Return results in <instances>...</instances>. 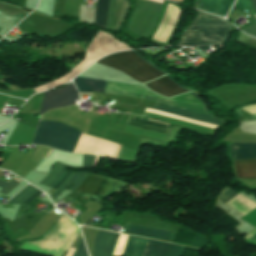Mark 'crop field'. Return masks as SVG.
Returning a JSON list of instances; mask_svg holds the SVG:
<instances>
[{"instance_id": "crop-field-1", "label": "crop field", "mask_w": 256, "mask_h": 256, "mask_svg": "<svg viewBox=\"0 0 256 256\" xmlns=\"http://www.w3.org/2000/svg\"><path fill=\"white\" fill-rule=\"evenodd\" d=\"M80 134L78 130L60 123L40 121L32 144L72 152ZM121 147L116 143L81 134L73 152L99 154L116 160Z\"/></svg>"}, {"instance_id": "crop-field-2", "label": "crop field", "mask_w": 256, "mask_h": 256, "mask_svg": "<svg viewBox=\"0 0 256 256\" xmlns=\"http://www.w3.org/2000/svg\"><path fill=\"white\" fill-rule=\"evenodd\" d=\"M229 24L224 20L197 14L185 31L180 35V46H208L222 45L230 32Z\"/></svg>"}, {"instance_id": "crop-field-3", "label": "crop field", "mask_w": 256, "mask_h": 256, "mask_svg": "<svg viewBox=\"0 0 256 256\" xmlns=\"http://www.w3.org/2000/svg\"><path fill=\"white\" fill-rule=\"evenodd\" d=\"M77 225L62 214L58 222L42 240L34 243H24L20 250L32 251L51 256H62L68 251L80 230Z\"/></svg>"}, {"instance_id": "crop-field-4", "label": "crop field", "mask_w": 256, "mask_h": 256, "mask_svg": "<svg viewBox=\"0 0 256 256\" xmlns=\"http://www.w3.org/2000/svg\"><path fill=\"white\" fill-rule=\"evenodd\" d=\"M134 52L136 55H138L140 58H142L138 53ZM131 51H127V52H122V53H117V54H113L110 56H107L105 58L100 59L97 63L113 68V69H117L121 72H123L124 74L128 75L129 77L137 80L140 83L143 82H147L150 80H153L157 77H160L166 73H164L163 71L159 70L158 68H156L155 66L151 65L152 67L156 68L157 70H159L160 72L164 73H160L159 71H157L156 69L152 68L151 66H149L147 63H145L143 60H141L139 57H137L135 54H133Z\"/></svg>"}, {"instance_id": "crop-field-5", "label": "crop field", "mask_w": 256, "mask_h": 256, "mask_svg": "<svg viewBox=\"0 0 256 256\" xmlns=\"http://www.w3.org/2000/svg\"><path fill=\"white\" fill-rule=\"evenodd\" d=\"M127 49L131 48L120 43L109 34L99 30L86 51L85 59L72 69L70 73L71 79L99 58L112 52Z\"/></svg>"}, {"instance_id": "crop-field-6", "label": "crop field", "mask_w": 256, "mask_h": 256, "mask_svg": "<svg viewBox=\"0 0 256 256\" xmlns=\"http://www.w3.org/2000/svg\"><path fill=\"white\" fill-rule=\"evenodd\" d=\"M163 4V0H150ZM146 0H137L135 11L127 29L148 39L160 14L162 4Z\"/></svg>"}, {"instance_id": "crop-field-7", "label": "crop field", "mask_w": 256, "mask_h": 256, "mask_svg": "<svg viewBox=\"0 0 256 256\" xmlns=\"http://www.w3.org/2000/svg\"><path fill=\"white\" fill-rule=\"evenodd\" d=\"M77 97L78 94L75 92L73 84L45 92L40 114L42 115L50 109L73 105L74 98Z\"/></svg>"}, {"instance_id": "crop-field-8", "label": "crop field", "mask_w": 256, "mask_h": 256, "mask_svg": "<svg viewBox=\"0 0 256 256\" xmlns=\"http://www.w3.org/2000/svg\"><path fill=\"white\" fill-rule=\"evenodd\" d=\"M18 6L0 1V12L22 20L28 13L18 10ZM0 13V35H5L20 20Z\"/></svg>"}, {"instance_id": "crop-field-9", "label": "crop field", "mask_w": 256, "mask_h": 256, "mask_svg": "<svg viewBox=\"0 0 256 256\" xmlns=\"http://www.w3.org/2000/svg\"><path fill=\"white\" fill-rule=\"evenodd\" d=\"M158 103H156L155 107L152 108V109H156V110H159V111H163V112H167V113H171V114H175V115H179V116H183V117H187V118H191V119H195V120H199V121H203V122H207V123H211V124H215V125H219V124L223 123V121L217 120L218 118L213 119V118H216V117L210 115L209 113H207L204 110L177 107V108H180V109L188 110V111H191V112L199 113V114L210 116V117H213V118L202 116V115L195 114V113H191V112L184 111V110H180V109H177V108H173V107H176V106L169 107L171 105L166 106L167 104L162 105L164 103H162V104H158Z\"/></svg>"}, {"instance_id": "crop-field-10", "label": "crop field", "mask_w": 256, "mask_h": 256, "mask_svg": "<svg viewBox=\"0 0 256 256\" xmlns=\"http://www.w3.org/2000/svg\"><path fill=\"white\" fill-rule=\"evenodd\" d=\"M180 14V9L169 5L166 8L164 17L155 33L153 36V39L159 41V42H166L172 28L174 27L178 17Z\"/></svg>"}, {"instance_id": "crop-field-11", "label": "crop field", "mask_w": 256, "mask_h": 256, "mask_svg": "<svg viewBox=\"0 0 256 256\" xmlns=\"http://www.w3.org/2000/svg\"><path fill=\"white\" fill-rule=\"evenodd\" d=\"M167 77L169 80L174 82L179 88L190 91L188 89L181 87L177 82L172 80L169 75H167ZM168 79L166 78V76H164L160 79H157L151 83L146 84V86L149 87L151 90H153L159 94L165 95L167 97H170L172 95H176V94H179L182 92H187V91L179 89L174 83H172Z\"/></svg>"}, {"instance_id": "crop-field-12", "label": "crop field", "mask_w": 256, "mask_h": 256, "mask_svg": "<svg viewBox=\"0 0 256 256\" xmlns=\"http://www.w3.org/2000/svg\"><path fill=\"white\" fill-rule=\"evenodd\" d=\"M235 0H196L195 8L225 16Z\"/></svg>"}, {"instance_id": "crop-field-13", "label": "crop field", "mask_w": 256, "mask_h": 256, "mask_svg": "<svg viewBox=\"0 0 256 256\" xmlns=\"http://www.w3.org/2000/svg\"><path fill=\"white\" fill-rule=\"evenodd\" d=\"M117 234L100 230L96 239L94 256H109Z\"/></svg>"}, {"instance_id": "crop-field-14", "label": "crop field", "mask_w": 256, "mask_h": 256, "mask_svg": "<svg viewBox=\"0 0 256 256\" xmlns=\"http://www.w3.org/2000/svg\"><path fill=\"white\" fill-rule=\"evenodd\" d=\"M124 228L127 229V232L136 233V234L145 235V236L163 239V240H168V241H171L174 235L173 232L147 228V227L133 225L129 223H126Z\"/></svg>"}, {"instance_id": "crop-field-15", "label": "crop field", "mask_w": 256, "mask_h": 256, "mask_svg": "<svg viewBox=\"0 0 256 256\" xmlns=\"http://www.w3.org/2000/svg\"><path fill=\"white\" fill-rule=\"evenodd\" d=\"M104 180L105 177L88 173L84 181L74 191L96 196Z\"/></svg>"}, {"instance_id": "crop-field-16", "label": "crop field", "mask_w": 256, "mask_h": 256, "mask_svg": "<svg viewBox=\"0 0 256 256\" xmlns=\"http://www.w3.org/2000/svg\"><path fill=\"white\" fill-rule=\"evenodd\" d=\"M148 118L149 117H145V116L130 115L127 124L168 134L169 126H167V125H169V124H167V125H163L166 123L159 124L162 122L155 123L158 121L151 122L154 120L148 121Z\"/></svg>"}, {"instance_id": "crop-field-17", "label": "crop field", "mask_w": 256, "mask_h": 256, "mask_svg": "<svg viewBox=\"0 0 256 256\" xmlns=\"http://www.w3.org/2000/svg\"><path fill=\"white\" fill-rule=\"evenodd\" d=\"M232 159L256 158V143H234L230 144Z\"/></svg>"}, {"instance_id": "crop-field-18", "label": "crop field", "mask_w": 256, "mask_h": 256, "mask_svg": "<svg viewBox=\"0 0 256 256\" xmlns=\"http://www.w3.org/2000/svg\"><path fill=\"white\" fill-rule=\"evenodd\" d=\"M237 178L256 179V159L234 161Z\"/></svg>"}, {"instance_id": "crop-field-19", "label": "crop field", "mask_w": 256, "mask_h": 256, "mask_svg": "<svg viewBox=\"0 0 256 256\" xmlns=\"http://www.w3.org/2000/svg\"><path fill=\"white\" fill-rule=\"evenodd\" d=\"M73 83L79 92L92 93L91 91H94L102 93L101 80L77 77L73 80Z\"/></svg>"}, {"instance_id": "crop-field-20", "label": "crop field", "mask_w": 256, "mask_h": 256, "mask_svg": "<svg viewBox=\"0 0 256 256\" xmlns=\"http://www.w3.org/2000/svg\"><path fill=\"white\" fill-rule=\"evenodd\" d=\"M146 240L128 237L125 245L123 256H141Z\"/></svg>"}, {"instance_id": "crop-field-21", "label": "crop field", "mask_w": 256, "mask_h": 256, "mask_svg": "<svg viewBox=\"0 0 256 256\" xmlns=\"http://www.w3.org/2000/svg\"><path fill=\"white\" fill-rule=\"evenodd\" d=\"M122 0H110L106 28L115 30Z\"/></svg>"}, {"instance_id": "crop-field-22", "label": "crop field", "mask_w": 256, "mask_h": 256, "mask_svg": "<svg viewBox=\"0 0 256 256\" xmlns=\"http://www.w3.org/2000/svg\"><path fill=\"white\" fill-rule=\"evenodd\" d=\"M87 175V173L84 172H73L71 174V176L68 178V180L61 185L53 194L52 196H57L58 194H60L61 192H63L64 190H66L72 183L74 184L69 190L73 191L85 178V176Z\"/></svg>"}, {"instance_id": "crop-field-23", "label": "crop field", "mask_w": 256, "mask_h": 256, "mask_svg": "<svg viewBox=\"0 0 256 256\" xmlns=\"http://www.w3.org/2000/svg\"><path fill=\"white\" fill-rule=\"evenodd\" d=\"M65 170L66 168L58 163L39 184L51 188L63 176Z\"/></svg>"}, {"instance_id": "crop-field-24", "label": "crop field", "mask_w": 256, "mask_h": 256, "mask_svg": "<svg viewBox=\"0 0 256 256\" xmlns=\"http://www.w3.org/2000/svg\"><path fill=\"white\" fill-rule=\"evenodd\" d=\"M109 0L96 1L95 24L105 28Z\"/></svg>"}, {"instance_id": "crop-field-25", "label": "crop field", "mask_w": 256, "mask_h": 256, "mask_svg": "<svg viewBox=\"0 0 256 256\" xmlns=\"http://www.w3.org/2000/svg\"><path fill=\"white\" fill-rule=\"evenodd\" d=\"M180 246L160 242L154 256H180Z\"/></svg>"}, {"instance_id": "crop-field-26", "label": "crop field", "mask_w": 256, "mask_h": 256, "mask_svg": "<svg viewBox=\"0 0 256 256\" xmlns=\"http://www.w3.org/2000/svg\"><path fill=\"white\" fill-rule=\"evenodd\" d=\"M38 189L27 185L24 187L21 191H19L15 196H13L9 202H15V203H21L23 200H25L27 197H29L31 194H33Z\"/></svg>"}, {"instance_id": "crop-field-27", "label": "crop field", "mask_w": 256, "mask_h": 256, "mask_svg": "<svg viewBox=\"0 0 256 256\" xmlns=\"http://www.w3.org/2000/svg\"><path fill=\"white\" fill-rule=\"evenodd\" d=\"M123 185H124V183H121V182H118V181L108 178L105 185L101 189L100 194L107 195L111 192H115V191L119 190Z\"/></svg>"}, {"instance_id": "crop-field-28", "label": "crop field", "mask_w": 256, "mask_h": 256, "mask_svg": "<svg viewBox=\"0 0 256 256\" xmlns=\"http://www.w3.org/2000/svg\"><path fill=\"white\" fill-rule=\"evenodd\" d=\"M70 80L69 78V74H67L66 76L60 78V79H57V80H54V81H51L43 86H40V87H35L34 90L35 92H39V91H43V90H47V89H50V88H53L55 86H58V85H61L63 83H66Z\"/></svg>"}, {"instance_id": "crop-field-29", "label": "crop field", "mask_w": 256, "mask_h": 256, "mask_svg": "<svg viewBox=\"0 0 256 256\" xmlns=\"http://www.w3.org/2000/svg\"><path fill=\"white\" fill-rule=\"evenodd\" d=\"M159 242L148 240L142 256H153Z\"/></svg>"}, {"instance_id": "crop-field-30", "label": "crop field", "mask_w": 256, "mask_h": 256, "mask_svg": "<svg viewBox=\"0 0 256 256\" xmlns=\"http://www.w3.org/2000/svg\"><path fill=\"white\" fill-rule=\"evenodd\" d=\"M19 181H17L16 179H12L1 191L0 193H3L5 195H7L11 190H13L17 185H18Z\"/></svg>"}, {"instance_id": "crop-field-31", "label": "crop field", "mask_w": 256, "mask_h": 256, "mask_svg": "<svg viewBox=\"0 0 256 256\" xmlns=\"http://www.w3.org/2000/svg\"><path fill=\"white\" fill-rule=\"evenodd\" d=\"M97 157L98 156H95L93 167L96 165ZM93 158H94V156L84 155L83 167L92 168Z\"/></svg>"}, {"instance_id": "crop-field-32", "label": "crop field", "mask_w": 256, "mask_h": 256, "mask_svg": "<svg viewBox=\"0 0 256 256\" xmlns=\"http://www.w3.org/2000/svg\"><path fill=\"white\" fill-rule=\"evenodd\" d=\"M236 194L237 193L228 188L222 195L219 196L218 199L226 203Z\"/></svg>"}, {"instance_id": "crop-field-33", "label": "crop field", "mask_w": 256, "mask_h": 256, "mask_svg": "<svg viewBox=\"0 0 256 256\" xmlns=\"http://www.w3.org/2000/svg\"><path fill=\"white\" fill-rule=\"evenodd\" d=\"M74 256H88L82 238Z\"/></svg>"}, {"instance_id": "crop-field-34", "label": "crop field", "mask_w": 256, "mask_h": 256, "mask_svg": "<svg viewBox=\"0 0 256 256\" xmlns=\"http://www.w3.org/2000/svg\"><path fill=\"white\" fill-rule=\"evenodd\" d=\"M71 172L66 171L64 176L59 180V182L53 187L54 189H57L70 175Z\"/></svg>"}, {"instance_id": "crop-field-35", "label": "crop field", "mask_w": 256, "mask_h": 256, "mask_svg": "<svg viewBox=\"0 0 256 256\" xmlns=\"http://www.w3.org/2000/svg\"><path fill=\"white\" fill-rule=\"evenodd\" d=\"M254 26H256V20H255ZM254 26H252V27H250V28H248V29L251 30V31L256 32V27H254ZM248 29L244 30V32L247 33V34H249V35H251V36L256 37V33H253V32H251V31H249Z\"/></svg>"}, {"instance_id": "crop-field-36", "label": "crop field", "mask_w": 256, "mask_h": 256, "mask_svg": "<svg viewBox=\"0 0 256 256\" xmlns=\"http://www.w3.org/2000/svg\"><path fill=\"white\" fill-rule=\"evenodd\" d=\"M42 192H40L39 190L37 192H35L33 195H31L28 199H26L24 202L22 203H29L30 201H32L34 198H36L39 194H41Z\"/></svg>"}, {"instance_id": "crop-field-37", "label": "crop field", "mask_w": 256, "mask_h": 256, "mask_svg": "<svg viewBox=\"0 0 256 256\" xmlns=\"http://www.w3.org/2000/svg\"><path fill=\"white\" fill-rule=\"evenodd\" d=\"M191 94L194 95L200 101V103L202 104L203 109L206 110L205 103L196 94H194V93H191Z\"/></svg>"}, {"instance_id": "crop-field-38", "label": "crop field", "mask_w": 256, "mask_h": 256, "mask_svg": "<svg viewBox=\"0 0 256 256\" xmlns=\"http://www.w3.org/2000/svg\"><path fill=\"white\" fill-rule=\"evenodd\" d=\"M256 11V0H252Z\"/></svg>"}, {"instance_id": "crop-field-39", "label": "crop field", "mask_w": 256, "mask_h": 256, "mask_svg": "<svg viewBox=\"0 0 256 256\" xmlns=\"http://www.w3.org/2000/svg\"><path fill=\"white\" fill-rule=\"evenodd\" d=\"M253 238H256V234L253 236Z\"/></svg>"}]
</instances>
